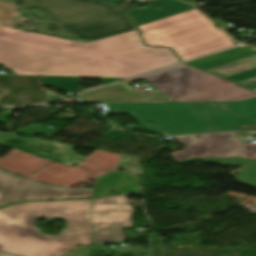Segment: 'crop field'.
Listing matches in <instances>:
<instances>
[{
	"label": "crop field",
	"instance_id": "8a807250",
	"mask_svg": "<svg viewBox=\"0 0 256 256\" xmlns=\"http://www.w3.org/2000/svg\"><path fill=\"white\" fill-rule=\"evenodd\" d=\"M177 62L138 30L82 44L0 26V64L19 75L129 78Z\"/></svg>",
	"mask_w": 256,
	"mask_h": 256
},
{
	"label": "crop field",
	"instance_id": "ac0d7876",
	"mask_svg": "<svg viewBox=\"0 0 256 256\" xmlns=\"http://www.w3.org/2000/svg\"><path fill=\"white\" fill-rule=\"evenodd\" d=\"M37 218L65 219L58 236L37 230ZM92 199L21 203L0 210V252L17 256H63L80 244L91 246Z\"/></svg>",
	"mask_w": 256,
	"mask_h": 256
},
{
	"label": "crop field",
	"instance_id": "34b2d1b8",
	"mask_svg": "<svg viewBox=\"0 0 256 256\" xmlns=\"http://www.w3.org/2000/svg\"><path fill=\"white\" fill-rule=\"evenodd\" d=\"M110 106L112 114L128 113L142 127L163 135L237 130L243 124H256V98L243 102Z\"/></svg>",
	"mask_w": 256,
	"mask_h": 256
},
{
	"label": "crop field",
	"instance_id": "412701ff",
	"mask_svg": "<svg viewBox=\"0 0 256 256\" xmlns=\"http://www.w3.org/2000/svg\"><path fill=\"white\" fill-rule=\"evenodd\" d=\"M0 0V24L13 27L9 19L20 14L14 9L33 7L47 14L59 27L76 38L89 41L137 30L132 17L118 8L96 0Z\"/></svg>",
	"mask_w": 256,
	"mask_h": 256
},
{
	"label": "crop field",
	"instance_id": "f4fd0767",
	"mask_svg": "<svg viewBox=\"0 0 256 256\" xmlns=\"http://www.w3.org/2000/svg\"><path fill=\"white\" fill-rule=\"evenodd\" d=\"M140 28L147 44L171 46L183 61L233 46L232 38L197 9Z\"/></svg>",
	"mask_w": 256,
	"mask_h": 256
},
{
	"label": "crop field",
	"instance_id": "dd49c442",
	"mask_svg": "<svg viewBox=\"0 0 256 256\" xmlns=\"http://www.w3.org/2000/svg\"><path fill=\"white\" fill-rule=\"evenodd\" d=\"M141 79L162 90L175 102L243 101L256 97L254 92L184 64L128 80L125 83Z\"/></svg>",
	"mask_w": 256,
	"mask_h": 256
},
{
	"label": "crop field",
	"instance_id": "e52e79f7",
	"mask_svg": "<svg viewBox=\"0 0 256 256\" xmlns=\"http://www.w3.org/2000/svg\"><path fill=\"white\" fill-rule=\"evenodd\" d=\"M124 192L141 195L140 182L93 199L92 243L126 240L122 228L133 227L130 221L133 210L127 205Z\"/></svg>",
	"mask_w": 256,
	"mask_h": 256
},
{
	"label": "crop field",
	"instance_id": "d8731c3e",
	"mask_svg": "<svg viewBox=\"0 0 256 256\" xmlns=\"http://www.w3.org/2000/svg\"><path fill=\"white\" fill-rule=\"evenodd\" d=\"M185 64L204 69L222 77L256 68V47L227 50ZM256 90V69L226 78Z\"/></svg>",
	"mask_w": 256,
	"mask_h": 256
},
{
	"label": "crop field",
	"instance_id": "5a996713",
	"mask_svg": "<svg viewBox=\"0 0 256 256\" xmlns=\"http://www.w3.org/2000/svg\"><path fill=\"white\" fill-rule=\"evenodd\" d=\"M86 197H93V189L49 187L0 170V206L26 200Z\"/></svg>",
	"mask_w": 256,
	"mask_h": 256
},
{
	"label": "crop field",
	"instance_id": "3316defc",
	"mask_svg": "<svg viewBox=\"0 0 256 256\" xmlns=\"http://www.w3.org/2000/svg\"><path fill=\"white\" fill-rule=\"evenodd\" d=\"M235 132L175 136L187 148L171 155L179 162L194 157H239L244 144Z\"/></svg>",
	"mask_w": 256,
	"mask_h": 256
},
{
	"label": "crop field",
	"instance_id": "28ad6ade",
	"mask_svg": "<svg viewBox=\"0 0 256 256\" xmlns=\"http://www.w3.org/2000/svg\"><path fill=\"white\" fill-rule=\"evenodd\" d=\"M86 103H156L174 102L159 89L137 94L122 82L78 95Z\"/></svg>",
	"mask_w": 256,
	"mask_h": 256
},
{
	"label": "crop field",
	"instance_id": "d1516ede",
	"mask_svg": "<svg viewBox=\"0 0 256 256\" xmlns=\"http://www.w3.org/2000/svg\"><path fill=\"white\" fill-rule=\"evenodd\" d=\"M10 137L16 138L14 133H2V132H0V143H2L3 141H5L6 139H8ZM16 139L26 141V142H30L32 144L51 149L53 151L51 152L50 155H48L46 153H43L41 151L39 152V155L46 156V157H49V158H52V159H56V160L65 162V163L70 164V165L81 163L84 159V157L79 156V155H77L76 153H74L72 151L75 147L74 145H69V144H64V143H59V142H54V141L45 142V141H41V140L34 139V138H30V139L16 138ZM13 147H15V146H13ZM32 153H34V152H32Z\"/></svg>",
	"mask_w": 256,
	"mask_h": 256
},
{
	"label": "crop field",
	"instance_id": "22f410ed",
	"mask_svg": "<svg viewBox=\"0 0 256 256\" xmlns=\"http://www.w3.org/2000/svg\"><path fill=\"white\" fill-rule=\"evenodd\" d=\"M156 6H159L160 10H155L149 13H142L141 11L131 13L135 18H137L139 25L148 23L154 20H158L164 17H168L174 14L185 12L191 9H195L193 6L186 3L178 2L176 0H155L151 1Z\"/></svg>",
	"mask_w": 256,
	"mask_h": 256
},
{
	"label": "crop field",
	"instance_id": "cbeb9de0",
	"mask_svg": "<svg viewBox=\"0 0 256 256\" xmlns=\"http://www.w3.org/2000/svg\"><path fill=\"white\" fill-rule=\"evenodd\" d=\"M138 178L139 175L131 176L128 171L119 173L113 170L94 180V197L114 191L125 184L136 183Z\"/></svg>",
	"mask_w": 256,
	"mask_h": 256
},
{
	"label": "crop field",
	"instance_id": "5142ce71",
	"mask_svg": "<svg viewBox=\"0 0 256 256\" xmlns=\"http://www.w3.org/2000/svg\"><path fill=\"white\" fill-rule=\"evenodd\" d=\"M195 160H201V161H207V162L242 164L244 168L240 171V175L237 181L256 187V160L237 159V158L213 159V160L192 159V160H186L180 164L195 161Z\"/></svg>",
	"mask_w": 256,
	"mask_h": 256
},
{
	"label": "crop field",
	"instance_id": "d9b57169",
	"mask_svg": "<svg viewBox=\"0 0 256 256\" xmlns=\"http://www.w3.org/2000/svg\"><path fill=\"white\" fill-rule=\"evenodd\" d=\"M44 84L51 85L59 90L73 94L81 92L79 84L81 83L79 78L89 77H56V76H41ZM118 78H103V85L111 82L119 81Z\"/></svg>",
	"mask_w": 256,
	"mask_h": 256
},
{
	"label": "crop field",
	"instance_id": "733c2abd",
	"mask_svg": "<svg viewBox=\"0 0 256 256\" xmlns=\"http://www.w3.org/2000/svg\"><path fill=\"white\" fill-rule=\"evenodd\" d=\"M241 155L247 158H255L256 159V144H245Z\"/></svg>",
	"mask_w": 256,
	"mask_h": 256
},
{
	"label": "crop field",
	"instance_id": "4a817a6b",
	"mask_svg": "<svg viewBox=\"0 0 256 256\" xmlns=\"http://www.w3.org/2000/svg\"><path fill=\"white\" fill-rule=\"evenodd\" d=\"M80 248H85L81 250ZM64 256H90V247L80 245Z\"/></svg>",
	"mask_w": 256,
	"mask_h": 256
},
{
	"label": "crop field",
	"instance_id": "bc2a9ffb",
	"mask_svg": "<svg viewBox=\"0 0 256 256\" xmlns=\"http://www.w3.org/2000/svg\"><path fill=\"white\" fill-rule=\"evenodd\" d=\"M156 8H157V7H156ZM156 8H153V9H145V10H141V11H143L144 13H146V12H149V11L155 10ZM135 11H139V9L134 10V11H131V12H135ZM131 12H128V13H131Z\"/></svg>",
	"mask_w": 256,
	"mask_h": 256
},
{
	"label": "crop field",
	"instance_id": "214f88e0",
	"mask_svg": "<svg viewBox=\"0 0 256 256\" xmlns=\"http://www.w3.org/2000/svg\"><path fill=\"white\" fill-rule=\"evenodd\" d=\"M182 1H185V2L191 3V2H194V1H197V0H182Z\"/></svg>",
	"mask_w": 256,
	"mask_h": 256
},
{
	"label": "crop field",
	"instance_id": "92a150f3",
	"mask_svg": "<svg viewBox=\"0 0 256 256\" xmlns=\"http://www.w3.org/2000/svg\"><path fill=\"white\" fill-rule=\"evenodd\" d=\"M105 1H109V2L115 3V2H118L120 0H105Z\"/></svg>",
	"mask_w": 256,
	"mask_h": 256
},
{
	"label": "crop field",
	"instance_id": "dafd665d",
	"mask_svg": "<svg viewBox=\"0 0 256 256\" xmlns=\"http://www.w3.org/2000/svg\"><path fill=\"white\" fill-rule=\"evenodd\" d=\"M0 256H8V255L0 254Z\"/></svg>",
	"mask_w": 256,
	"mask_h": 256
},
{
	"label": "crop field",
	"instance_id": "00972430",
	"mask_svg": "<svg viewBox=\"0 0 256 256\" xmlns=\"http://www.w3.org/2000/svg\"><path fill=\"white\" fill-rule=\"evenodd\" d=\"M255 92V91H254Z\"/></svg>",
	"mask_w": 256,
	"mask_h": 256
}]
</instances>
